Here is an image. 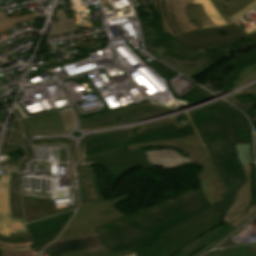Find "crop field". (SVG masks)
Wrapping results in <instances>:
<instances>
[{
    "label": "crop field",
    "instance_id": "obj_1",
    "mask_svg": "<svg viewBox=\"0 0 256 256\" xmlns=\"http://www.w3.org/2000/svg\"><path fill=\"white\" fill-rule=\"evenodd\" d=\"M232 200L233 196L207 208L166 231L157 242L128 256L201 255L236 230L232 226L225 227L222 224V216Z\"/></svg>",
    "mask_w": 256,
    "mask_h": 256
},
{
    "label": "crop field",
    "instance_id": "obj_2",
    "mask_svg": "<svg viewBox=\"0 0 256 256\" xmlns=\"http://www.w3.org/2000/svg\"><path fill=\"white\" fill-rule=\"evenodd\" d=\"M209 206L211 205L201 193L139 218L141 221L136 219L97 236L101 247H104L106 252L132 249L133 253H135L157 241L166 230L180 224Z\"/></svg>",
    "mask_w": 256,
    "mask_h": 256
},
{
    "label": "crop field",
    "instance_id": "obj_3",
    "mask_svg": "<svg viewBox=\"0 0 256 256\" xmlns=\"http://www.w3.org/2000/svg\"><path fill=\"white\" fill-rule=\"evenodd\" d=\"M214 166L229 192L221 197L224 199L235 193L245 181V175L238 164L234 151H229L226 140L205 145Z\"/></svg>",
    "mask_w": 256,
    "mask_h": 256
},
{
    "label": "crop field",
    "instance_id": "obj_4",
    "mask_svg": "<svg viewBox=\"0 0 256 256\" xmlns=\"http://www.w3.org/2000/svg\"><path fill=\"white\" fill-rule=\"evenodd\" d=\"M192 0H148L152 12L162 17L163 33L169 32L174 38L196 30L185 14L184 7Z\"/></svg>",
    "mask_w": 256,
    "mask_h": 256
},
{
    "label": "crop field",
    "instance_id": "obj_5",
    "mask_svg": "<svg viewBox=\"0 0 256 256\" xmlns=\"http://www.w3.org/2000/svg\"><path fill=\"white\" fill-rule=\"evenodd\" d=\"M188 115L203 144L227 139L229 149L234 150L231 129L220 113L205 107Z\"/></svg>",
    "mask_w": 256,
    "mask_h": 256
},
{
    "label": "crop field",
    "instance_id": "obj_6",
    "mask_svg": "<svg viewBox=\"0 0 256 256\" xmlns=\"http://www.w3.org/2000/svg\"><path fill=\"white\" fill-rule=\"evenodd\" d=\"M221 31L225 32L226 35H219L215 33L212 28H204L189 32L180 37L175 38L180 44L187 48H206L219 44L236 41L242 38H249L256 36V31L246 34L242 29L245 27L241 23L235 21L232 24L225 27H218Z\"/></svg>",
    "mask_w": 256,
    "mask_h": 256
},
{
    "label": "crop field",
    "instance_id": "obj_7",
    "mask_svg": "<svg viewBox=\"0 0 256 256\" xmlns=\"http://www.w3.org/2000/svg\"><path fill=\"white\" fill-rule=\"evenodd\" d=\"M94 161L116 180L138 166H151L139 150L126 152L124 147L84 158Z\"/></svg>",
    "mask_w": 256,
    "mask_h": 256
},
{
    "label": "crop field",
    "instance_id": "obj_8",
    "mask_svg": "<svg viewBox=\"0 0 256 256\" xmlns=\"http://www.w3.org/2000/svg\"><path fill=\"white\" fill-rule=\"evenodd\" d=\"M153 22L154 21H140L146 48L147 49L151 48L155 52V54L160 58V60L164 61L175 70L183 73L184 75L190 78L201 73L213 63L212 61H210L211 63L207 64V66L204 68L200 67V65L188 68L178 64H171L166 59L162 58V54L166 51V49L162 45H159L158 48L152 47L151 45L157 42ZM164 43L169 46L170 50L182 56H193V55H197L205 52L204 49H195V50L186 49L183 46H181L175 39L170 41H165Z\"/></svg>",
    "mask_w": 256,
    "mask_h": 256
},
{
    "label": "crop field",
    "instance_id": "obj_9",
    "mask_svg": "<svg viewBox=\"0 0 256 256\" xmlns=\"http://www.w3.org/2000/svg\"><path fill=\"white\" fill-rule=\"evenodd\" d=\"M173 111H177V110H173L160 105H154L150 102H147V103H142V104L133 105L127 108L119 109L116 111L83 118L81 119V125L88 126V125H94V124H100V123L114 122L115 119L113 115H116V114L121 115L123 117L122 122L119 123V124H122V123L137 122V121L150 119V118L167 114Z\"/></svg>",
    "mask_w": 256,
    "mask_h": 256
},
{
    "label": "crop field",
    "instance_id": "obj_10",
    "mask_svg": "<svg viewBox=\"0 0 256 256\" xmlns=\"http://www.w3.org/2000/svg\"><path fill=\"white\" fill-rule=\"evenodd\" d=\"M246 181L235 193L234 201L223 216L224 225L241 226L256 214V205L250 206L252 194L251 165L243 167Z\"/></svg>",
    "mask_w": 256,
    "mask_h": 256
},
{
    "label": "crop field",
    "instance_id": "obj_11",
    "mask_svg": "<svg viewBox=\"0 0 256 256\" xmlns=\"http://www.w3.org/2000/svg\"><path fill=\"white\" fill-rule=\"evenodd\" d=\"M158 146L178 147L183 151L182 154L185 157L190 159L192 162H194L198 166L210 163L197 137V134L191 135L185 138H181V139L158 140V141L128 145L124 147L128 151V150H135L139 148L158 147Z\"/></svg>",
    "mask_w": 256,
    "mask_h": 256
},
{
    "label": "crop field",
    "instance_id": "obj_12",
    "mask_svg": "<svg viewBox=\"0 0 256 256\" xmlns=\"http://www.w3.org/2000/svg\"><path fill=\"white\" fill-rule=\"evenodd\" d=\"M74 211L65 212L41 221L27 224L32 238V248L41 252L44 246L55 239Z\"/></svg>",
    "mask_w": 256,
    "mask_h": 256
},
{
    "label": "crop field",
    "instance_id": "obj_13",
    "mask_svg": "<svg viewBox=\"0 0 256 256\" xmlns=\"http://www.w3.org/2000/svg\"><path fill=\"white\" fill-rule=\"evenodd\" d=\"M195 133L196 132L191 124L178 128L176 124L173 123L165 127L134 136L132 138L120 140V142L122 146H124L132 143L152 141L158 139L181 138Z\"/></svg>",
    "mask_w": 256,
    "mask_h": 256
},
{
    "label": "crop field",
    "instance_id": "obj_14",
    "mask_svg": "<svg viewBox=\"0 0 256 256\" xmlns=\"http://www.w3.org/2000/svg\"><path fill=\"white\" fill-rule=\"evenodd\" d=\"M123 216L126 215L114 206L106 211L97 214L98 218L91 222L63 231L62 235L58 237L56 241L94 234L92 228L121 218Z\"/></svg>",
    "mask_w": 256,
    "mask_h": 256
},
{
    "label": "crop field",
    "instance_id": "obj_15",
    "mask_svg": "<svg viewBox=\"0 0 256 256\" xmlns=\"http://www.w3.org/2000/svg\"><path fill=\"white\" fill-rule=\"evenodd\" d=\"M199 193H201L200 189H196V190L186 192L184 194H181V195L175 196L173 198H170V199H168V200H166L162 203L156 204L154 206H151V207H148L146 209L140 210L138 212L130 214V215H128L126 217H123L121 219H118V220H115V221L110 222L108 224H105V225L99 226L97 228H94V231H95L96 234L106 232L108 230L114 229V228H116L118 226H121L123 224H126V223H128V222H130V221H132L136 218H139V217H141L145 214H148L150 212L156 211V210L161 209L163 207L169 206L171 204H174L176 202H179L181 200H184L186 198H189V197L194 196V195L199 194Z\"/></svg>",
    "mask_w": 256,
    "mask_h": 256
},
{
    "label": "crop field",
    "instance_id": "obj_16",
    "mask_svg": "<svg viewBox=\"0 0 256 256\" xmlns=\"http://www.w3.org/2000/svg\"><path fill=\"white\" fill-rule=\"evenodd\" d=\"M197 175L200 179V188L211 205L223 200L219 195L224 194L225 191L212 164L202 166Z\"/></svg>",
    "mask_w": 256,
    "mask_h": 256
},
{
    "label": "crop field",
    "instance_id": "obj_17",
    "mask_svg": "<svg viewBox=\"0 0 256 256\" xmlns=\"http://www.w3.org/2000/svg\"><path fill=\"white\" fill-rule=\"evenodd\" d=\"M126 199H128V196L124 194L121 196L107 199L99 203H95L86 207L79 208L77 209V211L75 212L74 216L72 217V219L70 220V222L68 223L65 229L72 228L80 224L86 223L96 218L95 214L103 210H106Z\"/></svg>",
    "mask_w": 256,
    "mask_h": 256
},
{
    "label": "crop field",
    "instance_id": "obj_18",
    "mask_svg": "<svg viewBox=\"0 0 256 256\" xmlns=\"http://www.w3.org/2000/svg\"><path fill=\"white\" fill-rule=\"evenodd\" d=\"M152 166L165 169L191 164L192 162L172 149L143 152Z\"/></svg>",
    "mask_w": 256,
    "mask_h": 256
},
{
    "label": "crop field",
    "instance_id": "obj_19",
    "mask_svg": "<svg viewBox=\"0 0 256 256\" xmlns=\"http://www.w3.org/2000/svg\"><path fill=\"white\" fill-rule=\"evenodd\" d=\"M87 181L78 182L80 206H86L104 200L97 187V174L86 166Z\"/></svg>",
    "mask_w": 256,
    "mask_h": 256
},
{
    "label": "crop field",
    "instance_id": "obj_20",
    "mask_svg": "<svg viewBox=\"0 0 256 256\" xmlns=\"http://www.w3.org/2000/svg\"><path fill=\"white\" fill-rule=\"evenodd\" d=\"M11 174L3 175L0 180V205H4L8 228L10 233L25 232L27 231L23 218L12 219L9 203L8 193L10 185Z\"/></svg>",
    "mask_w": 256,
    "mask_h": 256
},
{
    "label": "crop field",
    "instance_id": "obj_21",
    "mask_svg": "<svg viewBox=\"0 0 256 256\" xmlns=\"http://www.w3.org/2000/svg\"><path fill=\"white\" fill-rule=\"evenodd\" d=\"M99 247L96 237H83L77 239H71L61 242H55L46 247V249L54 248L56 253L72 252L76 250H87L91 248ZM45 249V250H46Z\"/></svg>",
    "mask_w": 256,
    "mask_h": 256
},
{
    "label": "crop field",
    "instance_id": "obj_22",
    "mask_svg": "<svg viewBox=\"0 0 256 256\" xmlns=\"http://www.w3.org/2000/svg\"><path fill=\"white\" fill-rule=\"evenodd\" d=\"M131 130H124V131H116L112 133H107L103 135H98L89 138L88 141L84 142V150H90L99 146H102L107 143H111L123 138L133 136L130 132Z\"/></svg>",
    "mask_w": 256,
    "mask_h": 256
},
{
    "label": "crop field",
    "instance_id": "obj_23",
    "mask_svg": "<svg viewBox=\"0 0 256 256\" xmlns=\"http://www.w3.org/2000/svg\"><path fill=\"white\" fill-rule=\"evenodd\" d=\"M233 133L234 143L250 144L248 126L241 115L227 120Z\"/></svg>",
    "mask_w": 256,
    "mask_h": 256
},
{
    "label": "crop field",
    "instance_id": "obj_24",
    "mask_svg": "<svg viewBox=\"0 0 256 256\" xmlns=\"http://www.w3.org/2000/svg\"><path fill=\"white\" fill-rule=\"evenodd\" d=\"M188 18L196 26L197 29L202 27L215 26L213 22L205 14L201 4L190 3L185 7Z\"/></svg>",
    "mask_w": 256,
    "mask_h": 256
},
{
    "label": "crop field",
    "instance_id": "obj_25",
    "mask_svg": "<svg viewBox=\"0 0 256 256\" xmlns=\"http://www.w3.org/2000/svg\"><path fill=\"white\" fill-rule=\"evenodd\" d=\"M210 1L214 8L217 10V12L220 14V16L229 24L233 21L230 17L232 14L247 6L254 0H234L225 10L220 5L219 0Z\"/></svg>",
    "mask_w": 256,
    "mask_h": 256
},
{
    "label": "crop field",
    "instance_id": "obj_26",
    "mask_svg": "<svg viewBox=\"0 0 256 256\" xmlns=\"http://www.w3.org/2000/svg\"><path fill=\"white\" fill-rule=\"evenodd\" d=\"M131 250L125 252L106 253L104 248L91 249L87 251H76L72 253L56 254L52 256H123L131 254Z\"/></svg>",
    "mask_w": 256,
    "mask_h": 256
},
{
    "label": "crop field",
    "instance_id": "obj_27",
    "mask_svg": "<svg viewBox=\"0 0 256 256\" xmlns=\"http://www.w3.org/2000/svg\"><path fill=\"white\" fill-rule=\"evenodd\" d=\"M31 19H35L34 14H29V15L15 17V18H12V17L7 18L2 11L0 12V32L14 27L13 24L28 21Z\"/></svg>",
    "mask_w": 256,
    "mask_h": 256
},
{
    "label": "crop field",
    "instance_id": "obj_28",
    "mask_svg": "<svg viewBox=\"0 0 256 256\" xmlns=\"http://www.w3.org/2000/svg\"><path fill=\"white\" fill-rule=\"evenodd\" d=\"M192 2L202 3L207 15L216 26L226 25L227 23L218 15L209 0H193Z\"/></svg>",
    "mask_w": 256,
    "mask_h": 256
},
{
    "label": "crop field",
    "instance_id": "obj_29",
    "mask_svg": "<svg viewBox=\"0 0 256 256\" xmlns=\"http://www.w3.org/2000/svg\"><path fill=\"white\" fill-rule=\"evenodd\" d=\"M236 156L241 166L251 164L250 145L234 144ZM246 156V158H244Z\"/></svg>",
    "mask_w": 256,
    "mask_h": 256
},
{
    "label": "crop field",
    "instance_id": "obj_30",
    "mask_svg": "<svg viewBox=\"0 0 256 256\" xmlns=\"http://www.w3.org/2000/svg\"><path fill=\"white\" fill-rule=\"evenodd\" d=\"M0 241L7 242V243H25L32 241L29 233H16V234H10V238L3 237L0 235Z\"/></svg>",
    "mask_w": 256,
    "mask_h": 256
},
{
    "label": "crop field",
    "instance_id": "obj_31",
    "mask_svg": "<svg viewBox=\"0 0 256 256\" xmlns=\"http://www.w3.org/2000/svg\"><path fill=\"white\" fill-rule=\"evenodd\" d=\"M170 123H173V121L170 118H167V119H163V120H159V121L139 125L137 127H140V131H137L136 135L140 134V133H143V132L150 131V130L155 129V128L165 126V125L170 124Z\"/></svg>",
    "mask_w": 256,
    "mask_h": 256
},
{
    "label": "crop field",
    "instance_id": "obj_32",
    "mask_svg": "<svg viewBox=\"0 0 256 256\" xmlns=\"http://www.w3.org/2000/svg\"><path fill=\"white\" fill-rule=\"evenodd\" d=\"M215 110H217L218 112L221 113L222 116H224L226 119L231 118L233 116L239 115V113H237L235 110H233L232 108L226 106L224 103L219 102L216 104H213L211 106H209Z\"/></svg>",
    "mask_w": 256,
    "mask_h": 256
},
{
    "label": "crop field",
    "instance_id": "obj_33",
    "mask_svg": "<svg viewBox=\"0 0 256 256\" xmlns=\"http://www.w3.org/2000/svg\"><path fill=\"white\" fill-rule=\"evenodd\" d=\"M248 246H237L222 249L220 256H245Z\"/></svg>",
    "mask_w": 256,
    "mask_h": 256
},
{
    "label": "crop field",
    "instance_id": "obj_34",
    "mask_svg": "<svg viewBox=\"0 0 256 256\" xmlns=\"http://www.w3.org/2000/svg\"><path fill=\"white\" fill-rule=\"evenodd\" d=\"M122 147L119 141L85 152V157Z\"/></svg>",
    "mask_w": 256,
    "mask_h": 256
},
{
    "label": "crop field",
    "instance_id": "obj_35",
    "mask_svg": "<svg viewBox=\"0 0 256 256\" xmlns=\"http://www.w3.org/2000/svg\"><path fill=\"white\" fill-rule=\"evenodd\" d=\"M9 202L13 218L21 217L18 197H9Z\"/></svg>",
    "mask_w": 256,
    "mask_h": 256
},
{
    "label": "crop field",
    "instance_id": "obj_36",
    "mask_svg": "<svg viewBox=\"0 0 256 256\" xmlns=\"http://www.w3.org/2000/svg\"><path fill=\"white\" fill-rule=\"evenodd\" d=\"M150 66H152L157 72H159L161 75H163L165 78H167L168 80L177 76L176 74L164 69L162 66H160L159 64H157L156 62L152 61L150 63H148Z\"/></svg>",
    "mask_w": 256,
    "mask_h": 256
},
{
    "label": "crop field",
    "instance_id": "obj_37",
    "mask_svg": "<svg viewBox=\"0 0 256 256\" xmlns=\"http://www.w3.org/2000/svg\"><path fill=\"white\" fill-rule=\"evenodd\" d=\"M0 234L9 237L3 206H0Z\"/></svg>",
    "mask_w": 256,
    "mask_h": 256
},
{
    "label": "crop field",
    "instance_id": "obj_38",
    "mask_svg": "<svg viewBox=\"0 0 256 256\" xmlns=\"http://www.w3.org/2000/svg\"><path fill=\"white\" fill-rule=\"evenodd\" d=\"M39 254L34 251L29 252H7L3 251L1 256H38Z\"/></svg>",
    "mask_w": 256,
    "mask_h": 256
},
{
    "label": "crop field",
    "instance_id": "obj_39",
    "mask_svg": "<svg viewBox=\"0 0 256 256\" xmlns=\"http://www.w3.org/2000/svg\"><path fill=\"white\" fill-rule=\"evenodd\" d=\"M256 6V0L251 3L250 5H248L247 7L243 8L242 10H240L239 12H237L236 14L232 15L231 17L234 19H236L237 17L245 14L246 12H248L250 9H252L253 7Z\"/></svg>",
    "mask_w": 256,
    "mask_h": 256
},
{
    "label": "crop field",
    "instance_id": "obj_40",
    "mask_svg": "<svg viewBox=\"0 0 256 256\" xmlns=\"http://www.w3.org/2000/svg\"><path fill=\"white\" fill-rule=\"evenodd\" d=\"M31 246V245H30ZM30 246L27 247H20V248H14V247H3L0 246V253L2 252V250H7V251H28V250H32L30 248Z\"/></svg>",
    "mask_w": 256,
    "mask_h": 256
},
{
    "label": "crop field",
    "instance_id": "obj_41",
    "mask_svg": "<svg viewBox=\"0 0 256 256\" xmlns=\"http://www.w3.org/2000/svg\"><path fill=\"white\" fill-rule=\"evenodd\" d=\"M144 11H145V14L147 15V20H155L154 17H153V14L150 12V8L148 5L144 4V0H139Z\"/></svg>",
    "mask_w": 256,
    "mask_h": 256
},
{
    "label": "crop field",
    "instance_id": "obj_42",
    "mask_svg": "<svg viewBox=\"0 0 256 256\" xmlns=\"http://www.w3.org/2000/svg\"><path fill=\"white\" fill-rule=\"evenodd\" d=\"M16 150H18L17 145L2 150V151L0 152V155L7 154V153H10V152H13V151H16Z\"/></svg>",
    "mask_w": 256,
    "mask_h": 256
},
{
    "label": "crop field",
    "instance_id": "obj_43",
    "mask_svg": "<svg viewBox=\"0 0 256 256\" xmlns=\"http://www.w3.org/2000/svg\"><path fill=\"white\" fill-rule=\"evenodd\" d=\"M247 256H256V247L249 246Z\"/></svg>",
    "mask_w": 256,
    "mask_h": 256
},
{
    "label": "crop field",
    "instance_id": "obj_44",
    "mask_svg": "<svg viewBox=\"0 0 256 256\" xmlns=\"http://www.w3.org/2000/svg\"><path fill=\"white\" fill-rule=\"evenodd\" d=\"M253 187H256V165L252 166Z\"/></svg>",
    "mask_w": 256,
    "mask_h": 256
},
{
    "label": "crop field",
    "instance_id": "obj_45",
    "mask_svg": "<svg viewBox=\"0 0 256 256\" xmlns=\"http://www.w3.org/2000/svg\"><path fill=\"white\" fill-rule=\"evenodd\" d=\"M31 243H32V242H30V243H25V244H6V243L0 242V245H3V246L20 247V246H27V245H30Z\"/></svg>",
    "mask_w": 256,
    "mask_h": 256
},
{
    "label": "crop field",
    "instance_id": "obj_46",
    "mask_svg": "<svg viewBox=\"0 0 256 256\" xmlns=\"http://www.w3.org/2000/svg\"><path fill=\"white\" fill-rule=\"evenodd\" d=\"M3 169H4V171H6V173L17 171L15 166L5 167Z\"/></svg>",
    "mask_w": 256,
    "mask_h": 256
},
{
    "label": "crop field",
    "instance_id": "obj_47",
    "mask_svg": "<svg viewBox=\"0 0 256 256\" xmlns=\"http://www.w3.org/2000/svg\"><path fill=\"white\" fill-rule=\"evenodd\" d=\"M194 105H197V104H194V103L190 102V103L184 104L182 106H179L177 108L184 109V108H187V107H190V106H194Z\"/></svg>",
    "mask_w": 256,
    "mask_h": 256
},
{
    "label": "crop field",
    "instance_id": "obj_48",
    "mask_svg": "<svg viewBox=\"0 0 256 256\" xmlns=\"http://www.w3.org/2000/svg\"><path fill=\"white\" fill-rule=\"evenodd\" d=\"M101 47H102V46L93 47L92 49L95 50V49H98V48H101ZM93 50H90V51H88V52H86V53H83V54H87V53H89V52H91V51H93ZM80 55H82V54H80ZM80 55H76V56L69 57L67 60H71V59H73V58H75V57H78V56H80Z\"/></svg>",
    "mask_w": 256,
    "mask_h": 256
},
{
    "label": "crop field",
    "instance_id": "obj_49",
    "mask_svg": "<svg viewBox=\"0 0 256 256\" xmlns=\"http://www.w3.org/2000/svg\"><path fill=\"white\" fill-rule=\"evenodd\" d=\"M233 0H224L221 5L224 7V9L232 2Z\"/></svg>",
    "mask_w": 256,
    "mask_h": 256
},
{
    "label": "crop field",
    "instance_id": "obj_50",
    "mask_svg": "<svg viewBox=\"0 0 256 256\" xmlns=\"http://www.w3.org/2000/svg\"><path fill=\"white\" fill-rule=\"evenodd\" d=\"M218 251H219V250L212 251V252H210V253H208V254H206V255H204V256H217V255H218Z\"/></svg>",
    "mask_w": 256,
    "mask_h": 256
},
{
    "label": "crop field",
    "instance_id": "obj_51",
    "mask_svg": "<svg viewBox=\"0 0 256 256\" xmlns=\"http://www.w3.org/2000/svg\"><path fill=\"white\" fill-rule=\"evenodd\" d=\"M16 108H17V110L19 111L21 117H22V118H25L26 115L24 114V112H23L18 106H16Z\"/></svg>",
    "mask_w": 256,
    "mask_h": 256
},
{
    "label": "crop field",
    "instance_id": "obj_52",
    "mask_svg": "<svg viewBox=\"0 0 256 256\" xmlns=\"http://www.w3.org/2000/svg\"><path fill=\"white\" fill-rule=\"evenodd\" d=\"M0 115L4 117V115L1 113V111H0Z\"/></svg>",
    "mask_w": 256,
    "mask_h": 256
},
{
    "label": "crop field",
    "instance_id": "obj_53",
    "mask_svg": "<svg viewBox=\"0 0 256 256\" xmlns=\"http://www.w3.org/2000/svg\"><path fill=\"white\" fill-rule=\"evenodd\" d=\"M223 0H220V2H222Z\"/></svg>",
    "mask_w": 256,
    "mask_h": 256
},
{
    "label": "crop field",
    "instance_id": "obj_54",
    "mask_svg": "<svg viewBox=\"0 0 256 256\" xmlns=\"http://www.w3.org/2000/svg\"><path fill=\"white\" fill-rule=\"evenodd\" d=\"M256 11V9H254Z\"/></svg>",
    "mask_w": 256,
    "mask_h": 256
}]
</instances>
